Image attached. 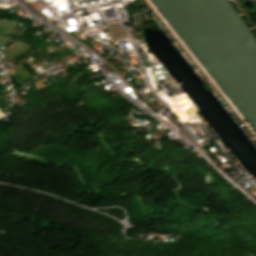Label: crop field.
Masks as SVG:
<instances>
[{
  "mask_svg": "<svg viewBox=\"0 0 256 256\" xmlns=\"http://www.w3.org/2000/svg\"><path fill=\"white\" fill-rule=\"evenodd\" d=\"M21 42H19V41H17V42H15V43H13V44H11L10 46H8L7 48H5L4 50H2L4 53L5 52H7V51H9V50H11V49H13L14 47H16L17 45H19ZM25 44H20L19 46H17L16 48H14L13 50H11V51H9V52H7V53H5L6 55H8V54H10V53H12V52H14V51H16V50H18V49H20L21 47H23ZM25 47H27V45L26 46H24L23 48H25ZM30 47V46H29ZM23 48H21V49H23ZM28 48V47H27ZM20 49V50H21ZM20 50H18V51H20ZM25 50V49H24ZM17 51V52H18ZM23 51V50H22ZM21 52V51H20ZM20 52H18V53H20ZM16 53V52H15ZM15 53H13V54H15ZM18 53H16V54H18ZM13 54H11V55H13ZM15 54V55H16ZM11 55H9V56H11ZM9 56H5V57H3V58H1L0 59V61L1 60H3V59H5V58H7V57H9ZM14 56V55H13ZM12 57V56H11Z\"/></svg>",
  "mask_w": 256,
  "mask_h": 256,
  "instance_id": "obj_1",
  "label": "crop field"
},
{
  "mask_svg": "<svg viewBox=\"0 0 256 256\" xmlns=\"http://www.w3.org/2000/svg\"><path fill=\"white\" fill-rule=\"evenodd\" d=\"M8 23V22H7ZM7 23H5V24H3V23H0V28H2L4 25H6ZM12 22H10V23H8L3 29H2V33H3V31L11 24ZM15 25V23L13 22L5 31H4V33L5 34H7L10 30H11V28L13 27Z\"/></svg>",
  "mask_w": 256,
  "mask_h": 256,
  "instance_id": "obj_2",
  "label": "crop field"
},
{
  "mask_svg": "<svg viewBox=\"0 0 256 256\" xmlns=\"http://www.w3.org/2000/svg\"><path fill=\"white\" fill-rule=\"evenodd\" d=\"M8 38L7 37H4V36H0V45L7 42Z\"/></svg>",
  "mask_w": 256,
  "mask_h": 256,
  "instance_id": "obj_3",
  "label": "crop field"
},
{
  "mask_svg": "<svg viewBox=\"0 0 256 256\" xmlns=\"http://www.w3.org/2000/svg\"><path fill=\"white\" fill-rule=\"evenodd\" d=\"M6 75V74H5Z\"/></svg>",
  "mask_w": 256,
  "mask_h": 256,
  "instance_id": "obj_4",
  "label": "crop field"
}]
</instances>
